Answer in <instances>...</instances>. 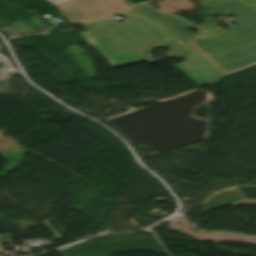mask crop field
I'll return each mask as SVG.
<instances>
[{
  "label": "crop field",
  "instance_id": "obj_1",
  "mask_svg": "<svg viewBox=\"0 0 256 256\" xmlns=\"http://www.w3.org/2000/svg\"><path fill=\"white\" fill-rule=\"evenodd\" d=\"M211 13L234 14L241 25L196 35L183 20L161 14L145 5L133 10L161 22L190 47L229 75L256 65V0H201Z\"/></svg>",
  "mask_w": 256,
  "mask_h": 256
},
{
  "label": "crop field",
  "instance_id": "obj_2",
  "mask_svg": "<svg viewBox=\"0 0 256 256\" xmlns=\"http://www.w3.org/2000/svg\"><path fill=\"white\" fill-rule=\"evenodd\" d=\"M119 15L126 21L118 22L111 18L84 23L87 31L80 33L89 46H94L113 68L144 61L143 49L149 44L172 42L190 53L173 68L197 86L225 77L159 23L130 9Z\"/></svg>",
  "mask_w": 256,
  "mask_h": 256
},
{
  "label": "crop field",
  "instance_id": "obj_3",
  "mask_svg": "<svg viewBox=\"0 0 256 256\" xmlns=\"http://www.w3.org/2000/svg\"><path fill=\"white\" fill-rule=\"evenodd\" d=\"M72 23L115 15L128 7L121 0H74L58 6Z\"/></svg>",
  "mask_w": 256,
  "mask_h": 256
},
{
  "label": "crop field",
  "instance_id": "obj_4",
  "mask_svg": "<svg viewBox=\"0 0 256 256\" xmlns=\"http://www.w3.org/2000/svg\"><path fill=\"white\" fill-rule=\"evenodd\" d=\"M48 1H50L54 5L58 6L60 4L66 3V2L71 1V0H48Z\"/></svg>",
  "mask_w": 256,
  "mask_h": 256
},
{
  "label": "crop field",
  "instance_id": "obj_5",
  "mask_svg": "<svg viewBox=\"0 0 256 256\" xmlns=\"http://www.w3.org/2000/svg\"><path fill=\"white\" fill-rule=\"evenodd\" d=\"M127 3H128V5H134V3L133 2H131L130 0H125Z\"/></svg>",
  "mask_w": 256,
  "mask_h": 256
}]
</instances>
